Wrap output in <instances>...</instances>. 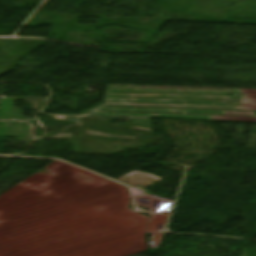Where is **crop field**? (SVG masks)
<instances>
[{"label": "crop field", "instance_id": "obj_1", "mask_svg": "<svg viewBox=\"0 0 256 256\" xmlns=\"http://www.w3.org/2000/svg\"><path fill=\"white\" fill-rule=\"evenodd\" d=\"M227 93L246 96H226ZM83 112L98 116H164L256 122V90L108 85L105 103Z\"/></svg>", "mask_w": 256, "mask_h": 256}, {"label": "crop field", "instance_id": "obj_2", "mask_svg": "<svg viewBox=\"0 0 256 256\" xmlns=\"http://www.w3.org/2000/svg\"><path fill=\"white\" fill-rule=\"evenodd\" d=\"M13 98L2 97L0 119L10 120Z\"/></svg>", "mask_w": 256, "mask_h": 256}]
</instances>
